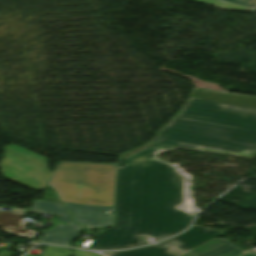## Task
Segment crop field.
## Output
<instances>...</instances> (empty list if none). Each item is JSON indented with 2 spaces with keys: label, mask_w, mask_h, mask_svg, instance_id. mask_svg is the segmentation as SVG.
<instances>
[{
  "label": "crop field",
  "mask_w": 256,
  "mask_h": 256,
  "mask_svg": "<svg viewBox=\"0 0 256 256\" xmlns=\"http://www.w3.org/2000/svg\"><path fill=\"white\" fill-rule=\"evenodd\" d=\"M172 147L150 144L119 160L116 226L101 232L91 249H120L169 237L193 220L190 182L173 164L155 159Z\"/></svg>",
  "instance_id": "crop-field-1"
},
{
  "label": "crop field",
  "mask_w": 256,
  "mask_h": 256,
  "mask_svg": "<svg viewBox=\"0 0 256 256\" xmlns=\"http://www.w3.org/2000/svg\"><path fill=\"white\" fill-rule=\"evenodd\" d=\"M153 142L254 157L256 97L197 89ZM245 150L254 153L245 155Z\"/></svg>",
  "instance_id": "crop-field-2"
},
{
  "label": "crop field",
  "mask_w": 256,
  "mask_h": 256,
  "mask_svg": "<svg viewBox=\"0 0 256 256\" xmlns=\"http://www.w3.org/2000/svg\"><path fill=\"white\" fill-rule=\"evenodd\" d=\"M115 165L57 162L47 185L62 202L113 207Z\"/></svg>",
  "instance_id": "crop-field-3"
},
{
  "label": "crop field",
  "mask_w": 256,
  "mask_h": 256,
  "mask_svg": "<svg viewBox=\"0 0 256 256\" xmlns=\"http://www.w3.org/2000/svg\"><path fill=\"white\" fill-rule=\"evenodd\" d=\"M4 152L0 162L4 178L36 191L44 189L51 175L47 158L15 144L5 147Z\"/></svg>",
  "instance_id": "crop-field-4"
},
{
  "label": "crop field",
  "mask_w": 256,
  "mask_h": 256,
  "mask_svg": "<svg viewBox=\"0 0 256 256\" xmlns=\"http://www.w3.org/2000/svg\"><path fill=\"white\" fill-rule=\"evenodd\" d=\"M221 233L223 232L194 225L186 233L151 247L105 254L108 256H178Z\"/></svg>",
  "instance_id": "crop-field-5"
},
{
  "label": "crop field",
  "mask_w": 256,
  "mask_h": 256,
  "mask_svg": "<svg viewBox=\"0 0 256 256\" xmlns=\"http://www.w3.org/2000/svg\"><path fill=\"white\" fill-rule=\"evenodd\" d=\"M30 211L39 214L59 215L57 221L71 222V225L56 224L52 230L43 232L45 236L40 237L38 242L69 246V240L78 236V229L83 228L69 217V212L63 209L60 203L34 200Z\"/></svg>",
  "instance_id": "crop-field-6"
},
{
  "label": "crop field",
  "mask_w": 256,
  "mask_h": 256,
  "mask_svg": "<svg viewBox=\"0 0 256 256\" xmlns=\"http://www.w3.org/2000/svg\"><path fill=\"white\" fill-rule=\"evenodd\" d=\"M64 207L73 212V218L87 228L103 225L113 226L114 208L96 207L63 203Z\"/></svg>",
  "instance_id": "crop-field-7"
},
{
  "label": "crop field",
  "mask_w": 256,
  "mask_h": 256,
  "mask_svg": "<svg viewBox=\"0 0 256 256\" xmlns=\"http://www.w3.org/2000/svg\"><path fill=\"white\" fill-rule=\"evenodd\" d=\"M244 251L234 246L230 240L215 238L181 256H240Z\"/></svg>",
  "instance_id": "crop-field-8"
},
{
  "label": "crop field",
  "mask_w": 256,
  "mask_h": 256,
  "mask_svg": "<svg viewBox=\"0 0 256 256\" xmlns=\"http://www.w3.org/2000/svg\"><path fill=\"white\" fill-rule=\"evenodd\" d=\"M26 214L0 211V229L6 233L34 239L38 231L24 228L27 221L21 217Z\"/></svg>",
  "instance_id": "crop-field-9"
},
{
  "label": "crop field",
  "mask_w": 256,
  "mask_h": 256,
  "mask_svg": "<svg viewBox=\"0 0 256 256\" xmlns=\"http://www.w3.org/2000/svg\"><path fill=\"white\" fill-rule=\"evenodd\" d=\"M226 10L253 11L256 0H194Z\"/></svg>",
  "instance_id": "crop-field-10"
},
{
  "label": "crop field",
  "mask_w": 256,
  "mask_h": 256,
  "mask_svg": "<svg viewBox=\"0 0 256 256\" xmlns=\"http://www.w3.org/2000/svg\"><path fill=\"white\" fill-rule=\"evenodd\" d=\"M13 253L11 252H6V251H2L0 252V256H11Z\"/></svg>",
  "instance_id": "crop-field-11"
},
{
  "label": "crop field",
  "mask_w": 256,
  "mask_h": 256,
  "mask_svg": "<svg viewBox=\"0 0 256 256\" xmlns=\"http://www.w3.org/2000/svg\"><path fill=\"white\" fill-rule=\"evenodd\" d=\"M243 256H256V253L246 252Z\"/></svg>",
  "instance_id": "crop-field-12"
}]
</instances>
